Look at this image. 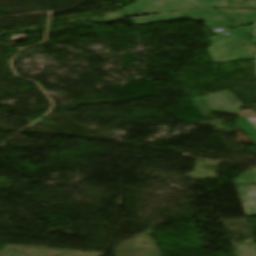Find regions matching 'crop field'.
I'll return each instance as SVG.
<instances>
[{
	"label": "crop field",
	"mask_w": 256,
	"mask_h": 256,
	"mask_svg": "<svg viewBox=\"0 0 256 256\" xmlns=\"http://www.w3.org/2000/svg\"><path fill=\"white\" fill-rule=\"evenodd\" d=\"M234 122L244 133L248 134L250 139L256 144V118L240 117Z\"/></svg>",
	"instance_id": "e52e79f7"
},
{
	"label": "crop field",
	"mask_w": 256,
	"mask_h": 256,
	"mask_svg": "<svg viewBox=\"0 0 256 256\" xmlns=\"http://www.w3.org/2000/svg\"><path fill=\"white\" fill-rule=\"evenodd\" d=\"M189 18L191 20H204L208 28L219 27V26H232L230 25L221 15L212 9L179 12L171 14L134 17L131 18L136 25L155 23L169 20H177Z\"/></svg>",
	"instance_id": "34b2d1b8"
},
{
	"label": "crop field",
	"mask_w": 256,
	"mask_h": 256,
	"mask_svg": "<svg viewBox=\"0 0 256 256\" xmlns=\"http://www.w3.org/2000/svg\"><path fill=\"white\" fill-rule=\"evenodd\" d=\"M253 171H254V173H255V176H256V168H255V169H253Z\"/></svg>",
	"instance_id": "28ad6ade"
},
{
	"label": "crop field",
	"mask_w": 256,
	"mask_h": 256,
	"mask_svg": "<svg viewBox=\"0 0 256 256\" xmlns=\"http://www.w3.org/2000/svg\"><path fill=\"white\" fill-rule=\"evenodd\" d=\"M234 113H239L238 109L243 104L235 98L230 91H224L216 94Z\"/></svg>",
	"instance_id": "d8731c3e"
},
{
	"label": "crop field",
	"mask_w": 256,
	"mask_h": 256,
	"mask_svg": "<svg viewBox=\"0 0 256 256\" xmlns=\"http://www.w3.org/2000/svg\"><path fill=\"white\" fill-rule=\"evenodd\" d=\"M209 4H233L256 7V0H139L125 9L129 16H136L153 14L155 11L159 10L196 7Z\"/></svg>",
	"instance_id": "ac0d7876"
},
{
	"label": "crop field",
	"mask_w": 256,
	"mask_h": 256,
	"mask_svg": "<svg viewBox=\"0 0 256 256\" xmlns=\"http://www.w3.org/2000/svg\"><path fill=\"white\" fill-rule=\"evenodd\" d=\"M254 28L255 26H251L250 28L243 27L241 28L246 34L249 36L254 35Z\"/></svg>",
	"instance_id": "3316defc"
},
{
	"label": "crop field",
	"mask_w": 256,
	"mask_h": 256,
	"mask_svg": "<svg viewBox=\"0 0 256 256\" xmlns=\"http://www.w3.org/2000/svg\"><path fill=\"white\" fill-rule=\"evenodd\" d=\"M208 47L213 63L255 59L254 43L244 33L211 38Z\"/></svg>",
	"instance_id": "8a807250"
},
{
	"label": "crop field",
	"mask_w": 256,
	"mask_h": 256,
	"mask_svg": "<svg viewBox=\"0 0 256 256\" xmlns=\"http://www.w3.org/2000/svg\"><path fill=\"white\" fill-rule=\"evenodd\" d=\"M234 184H255L250 170L232 179Z\"/></svg>",
	"instance_id": "5a996713"
},
{
	"label": "crop field",
	"mask_w": 256,
	"mask_h": 256,
	"mask_svg": "<svg viewBox=\"0 0 256 256\" xmlns=\"http://www.w3.org/2000/svg\"><path fill=\"white\" fill-rule=\"evenodd\" d=\"M247 216L256 215V185L234 186Z\"/></svg>",
	"instance_id": "412701ff"
},
{
	"label": "crop field",
	"mask_w": 256,
	"mask_h": 256,
	"mask_svg": "<svg viewBox=\"0 0 256 256\" xmlns=\"http://www.w3.org/2000/svg\"><path fill=\"white\" fill-rule=\"evenodd\" d=\"M237 26L256 23V11L216 9Z\"/></svg>",
	"instance_id": "dd49c442"
},
{
	"label": "crop field",
	"mask_w": 256,
	"mask_h": 256,
	"mask_svg": "<svg viewBox=\"0 0 256 256\" xmlns=\"http://www.w3.org/2000/svg\"><path fill=\"white\" fill-rule=\"evenodd\" d=\"M193 102L200 112L221 111L233 114V112L215 94L193 99Z\"/></svg>",
	"instance_id": "f4fd0767"
}]
</instances>
